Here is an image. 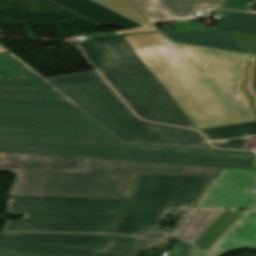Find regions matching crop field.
I'll use <instances>...</instances> for the list:
<instances>
[{
	"label": "crop field",
	"mask_w": 256,
	"mask_h": 256,
	"mask_svg": "<svg viewBox=\"0 0 256 256\" xmlns=\"http://www.w3.org/2000/svg\"><path fill=\"white\" fill-rule=\"evenodd\" d=\"M134 52L197 129L254 121L237 87L245 55L173 43Z\"/></svg>",
	"instance_id": "2"
},
{
	"label": "crop field",
	"mask_w": 256,
	"mask_h": 256,
	"mask_svg": "<svg viewBox=\"0 0 256 256\" xmlns=\"http://www.w3.org/2000/svg\"><path fill=\"white\" fill-rule=\"evenodd\" d=\"M98 26H115L122 30L141 26L140 24L111 11L91 0H51Z\"/></svg>",
	"instance_id": "14"
},
{
	"label": "crop field",
	"mask_w": 256,
	"mask_h": 256,
	"mask_svg": "<svg viewBox=\"0 0 256 256\" xmlns=\"http://www.w3.org/2000/svg\"><path fill=\"white\" fill-rule=\"evenodd\" d=\"M128 199L9 196L3 230L114 233Z\"/></svg>",
	"instance_id": "6"
},
{
	"label": "crop field",
	"mask_w": 256,
	"mask_h": 256,
	"mask_svg": "<svg viewBox=\"0 0 256 256\" xmlns=\"http://www.w3.org/2000/svg\"><path fill=\"white\" fill-rule=\"evenodd\" d=\"M157 31L153 26H142L126 31H120L116 32L117 35H123V34H135V33H146V32H154Z\"/></svg>",
	"instance_id": "30"
},
{
	"label": "crop field",
	"mask_w": 256,
	"mask_h": 256,
	"mask_svg": "<svg viewBox=\"0 0 256 256\" xmlns=\"http://www.w3.org/2000/svg\"><path fill=\"white\" fill-rule=\"evenodd\" d=\"M246 2L247 0H224L220 7L241 10ZM251 8L256 9V0Z\"/></svg>",
	"instance_id": "28"
},
{
	"label": "crop field",
	"mask_w": 256,
	"mask_h": 256,
	"mask_svg": "<svg viewBox=\"0 0 256 256\" xmlns=\"http://www.w3.org/2000/svg\"><path fill=\"white\" fill-rule=\"evenodd\" d=\"M243 43L250 49L252 54L256 55V36L236 33Z\"/></svg>",
	"instance_id": "29"
},
{
	"label": "crop field",
	"mask_w": 256,
	"mask_h": 256,
	"mask_svg": "<svg viewBox=\"0 0 256 256\" xmlns=\"http://www.w3.org/2000/svg\"><path fill=\"white\" fill-rule=\"evenodd\" d=\"M170 243L169 242H164L158 246H161V247H169Z\"/></svg>",
	"instance_id": "32"
},
{
	"label": "crop field",
	"mask_w": 256,
	"mask_h": 256,
	"mask_svg": "<svg viewBox=\"0 0 256 256\" xmlns=\"http://www.w3.org/2000/svg\"><path fill=\"white\" fill-rule=\"evenodd\" d=\"M46 80L125 141L211 147L194 131L137 119L95 71Z\"/></svg>",
	"instance_id": "5"
},
{
	"label": "crop field",
	"mask_w": 256,
	"mask_h": 256,
	"mask_svg": "<svg viewBox=\"0 0 256 256\" xmlns=\"http://www.w3.org/2000/svg\"><path fill=\"white\" fill-rule=\"evenodd\" d=\"M179 235L169 249V256H198L200 248Z\"/></svg>",
	"instance_id": "23"
},
{
	"label": "crop field",
	"mask_w": 256,
	"mask_h": 256,
	"mask_svg": "<svg viewBox=\"0 0 256 256\" xmlns=\"http://www.w3.org/2000/svg\"><path fill=\"white\" fill-rule=\"evenodd\" d=\"M83 157L0 152V170L81 172Z\"/></svg>",
	"instance_id": "9"
},
{
	"label": "crop field",
	"mask_w": 256,
	"mask_h": 256,
	"mask_svg": "<svg viewBox=\"0 0 256 256\" xmlns=\"http://www.w3.org/2000/svg\"><path fill=\"white\" fill-rule=\"evenodd\" d=\"M248 58H249V56L246 55V56H245V59H244V62H243L242 69H241V73H240V76H239L238 86H239L240 94H241V96H242V98H243V100H244V102H245V104H246L248 110L251 112V114L253 115V117H254V119H255V121H256V117H255V115H254L252 109L250 108V99H249V97L245 94V92H244V91L242 90V88H241V83L243 82V80H244V78H245V70H244V68H245V66H246V64H247Z\"/></svg>",
	"instance_id": "26"
},
{
	"label": "crop field",
	"mask_w": 256,
	"mask_h": 256,
	"mask_svg": "<svg viewBox=\"0 0 256 256\" xmlns=\"http://www.w3.org/2000/svg\"><path fill=\"white\" fill-rule=\"evenodd\" d=\"M240 215L241 213L227 209L194 244L209 249Z\"/></svg>",
	"instance_id": "18"
},
{
	"label": "crop field",
	"mask_w": 256,
	"mask_h": 256,
	"mask_svg": "<svg viewBox=\"0 0 256 256\" xmlns=\"http://www.w3.org/2000/svg\"><path fill=\"white\" fill-rule=\"evenodd\" d=\"M222 16L218 29L256 34V14L212 9Z\"/></svg>",
	"instance_id": "17"
},
{
	"label": "crop field",
	"mask_w": 256,
	"mask_h": 256,
	"mask_svg": "<svg viewBox=\"0 0 256 256\" xmlns=\"http://www.w3.org/2000/svg\"><path fill=\"white\" fill-rule=\"evenodd\" d=\"M219 168L84 158L82 174L19 172L9 195L128 198L138 174L215 176Z\"/></svg>",
	"instance_id": "3"
},
{
	"label": "crop field",
	"mask_w": 256,
	"mask_h": 256,
	"mask_svg": "<svg viewBox=\"0 0 256 256\" xmlns=\"http://www.w3.org/2000/svg\"><path fill=\"white\" fill-rule=\"evenodd\" d=\"M225 211V209H196L180 235L192 243Z\"/></svg>",
	"instance_id": "16"
},
{
	"label": "crop field",
	"mask_w": 256,
	"mask_h": 256,
	"mask_svg": "<svg viewBox=\"0 0 256 256\" xmlns=\"http://www.w3.org/2000/svg\"><path fill=\"white\" fill-rule=\"evenodd\" d=\"M176 31L204 30L198 22L185 21L170 23Z\"/></svg>",
	"instance_id": "25"
},
{
	"label": "crop field",
	"mask_w": 256,
	"mask_h": 256,
	"mask_svg": "<svg viewBox=\"0 0 256 256\" xmlns=\"http://www.w3.org/2000/svg\"><path fill=\"white\" fill-rule=\"evenodd\" d=\"M254 59H255V56H252L251 65L247 67V69L249 70V72H248L249 80L245 85H246V90L254 98L255 107H256V92H255L254 87H253L254 65H255Z\"/></svg>",
	"instance_id": "27"
},
{
	"label": "crop field",
	"mask_w": 256,
	"mask_h": 256,
	"mask_svg": "<svg viewBox=\"0 0 256 256\" xmlns=\"http://www.w3.org/2000/svg\"><path fill=\"white\" fill-rule=\"evenodd\" d=\"M158 243L160 241L115 235L108 249L140 253L141 250H145Z\"/></svg>",
	"instance_id": "20"
},
{
	"label": "crop field",
	"mask_w": 256,
	"mask_h": 256,
	"mask_svg": "<svg viewBox=\"0 0 256 256\" xmlns=\"http://www.w3.org/2000/svg\"><path fill=\"white\" fill-rule=\"evenodd\" d=\"M158 249H162V248H158ZM153 250H156V248L147 250L142 256H152Z\"/></svg>",
	"instance_id": "31"
},
{
	"label": "crop field",
	"mask_w": 256,
	"mask_h": 256,
	"mask_svg": "<svg viewBox=\"0 0 256 256\" xmlns=\"http://www.w3.org/2000/svg\"><path fill=\"white\" fill-rule=\"evenodd\" d=\"M120 37L128 43L132 50L168 42L160 33L125 35Z\"/></svg>",
	"instance_id": "22"
},
{
	"label": "crop field",
	"mask_w": 256,
	"mask_h": 256,
	"mask_svg": "<svg viewBox=\"0 0 256 256\" xmlns=\"http://www.w3.org/2000/svg\"><path fill=\"white\" fill-rule=\"evenodd\" d=\"M256 171L223 168L195 207H256Z\"/></svg>",
	"instance_id": "8"
},
{
	"label": "crop field",
	"mask_w": 256,
	"mask_h": 256,
	"mask_svg": "<svg viewBox=\"0 0 256 256\" xmlns=\"http://www.w3.org/2000/svg\"><path fill=\"white\" fill-rule=\"evenodd\" d=\"M86 42L81 49L140 118L194 128L195 125L123 39L108 36Z\"/></svg>",
	"instance_id": "4"
},
{
	"label": "crop field",
	"mask_w": 256,
	"mask_h": 256,
	"mask_svg": "<svg viewBox=\"0 0 256 256\" xmlns=\"http://www.w3.org/2000/svg\"><path fill=\"white\" fill-rule=\"evenodd\" d=\"M124 15H127L141 24H150V21L140 13L128 0H96Z\"/></svg>",
	"instance_id": "21"
},
{
	"label": "crop field",
	"mask_w": 256,
	"mask_h": 256,
	"mask_svg": "<svg viewBox=\"0 0 256 256\" xmlns=\"http://www.w3.org/2000/svg\"><path fill=\"white\" fill-rule=\"evenodd\" d=\"M212 178L140 176L115 233L169 240L192 209L181 215L171 232L156 230L166 214L194 207ZM177 235V234H176Z\"/></svg>",
	"instance_id": "7"
},
{
	"label": "crop field",
	"mask_w": 256,
	"mask_h": 256,
	"mask_svg": "<svg viewBox=\"0 0 256 256\" xmlns=\"http://www.w3.org/2000/svg\"><path fill=\"white\" fill-rule=\"evenodd\" d=\"M256 250V209H247L209 249H201L199 256H222L230 250Z\"/></svg>",
	"instance_id": "12"
},
{
	"label": "crop field",
	"mask_w": 256,
	"mask_h": 256,
	"mask_svg": "<svg viewBox=\"0 0 256 256\" xmlns=\"http://www.w3.org/2000/svg\"><path fill=\"white\" fill-rule=\"evenodd\" d=\"M141 254L0 240V256H139Z\"/></svg>",
	"instance_id": "11"
},
{
	"label": "crop field",
	"mask_w": 256,
	"mask_h": 256,
	"mask_svg": "<svg viewBox=\"0 0 256 256\" xmlns=\"http://www.w3.org/2000/svg\"><path fill=\"white\" fill-rule=\"evenodd\" d=\"M163 34L174 42L247 53L238 39L232 32L226 31H209V32H192V33H179V32H163Z\"/></svg>",
	"instance_id": "15"
},
{
	"label": "crop field",
	"mask_w": 256,
	"mask_h": 256,
	"mask_svg": "<svg viewBox=\"0 0 256 256\" xmlns=\"http://www.w3.org/2000/svg\"><path fill=\"white\" fill-rule=\"evenodd\" d=\"M0 151L256 169L251 152L124 142L1 46Z\"/></svg>",
	"instance_id": "1"
},
{
	"label": "crop field",
	"mask_w": 256,
	"mask_h": 256,
	"mask_svg": "<svg viewBox=\"0 0 256 256\" xmlns=\"http://www.w3.org/2000/svg\"><path fill=\"white\" fill-rule=\"evenodd\" d=\"M247 138L256 139V136L240 138V139H233V140H227V141L214 142L212 144L214 146H217V147L232 148V149H244L242 147H243Z\"/></svg>",
	"instance_id": "24"
},
{
	"label": "crop field",
	"mask_w": 256,
	"mask_h": 256,
	"mask_svg": "<svg viewBox=\"0 0 256 256\" xmlns=\"http://www.w3.org/2000/svg\"><path fill=\"white\" fill-rule=\"evenodd\" d=\"M152 23L195 18L206 6L219 7L223 0H129Z\"/></svg>",
	"instance_id": "10"
},
{
	"label": "crop field",
	"mask_w": 256,
	"mask_h": 256,
	"mask_svg": "<svg viewBox=\"0 0 256 256\" xmlns=\"http://www.w3.org/2000/svg\"><path fill=\"white\" fill-rule=\"evenodd\" d=\"M208 140L224 139L256 134V122L229 125L201 130Z\"/></svg>",
	"instance_id": "19"
},
{
	"label": "crop field",
	"mask_w": 256,
	"mask_h": 256,
	"mask_svg": "<svg viewBox=\"0 0 256 256\" xmlns=\"http://www.w3.org/2000/svg\"><path fill=\"white\" fill-rule=\"evenodd\" d=\"M256 62V59H255ZM254 86H255V90H256V65H255V79H254Z\"/></svg>",
	"instance_id": "33"
},
{
	"label": "crop field",
	"mask_w": 256,
	"mask_h": 256,
	"mask_svg": "<svg viewBox=\"0 0 256 256\" xmlns=\"http://www.w3.org/2000/svg\"><path fill=\"white\" fill-rule=\"evenodd\" d=\"M114 235L0 232V239L107 249Z\"/></svg>",
	"instance_id": "13"
}]
</instances>
